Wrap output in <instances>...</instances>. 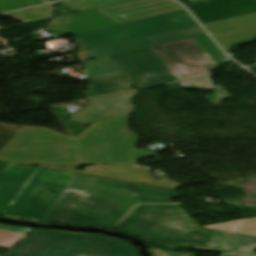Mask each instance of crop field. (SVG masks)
I'll return each instance as SVG.
<instances>
[{"label":"crop field","instance_id":"3316defc","mask_svg":"<svg viewBox=\"0 0 256 256\" xmlns=\"http://www.w3.org/2000/svg\"><path fill=\"white\" fill-rule=\"evenodd\" d=\"M138 91L91 99L82 110L72 115L70 120L79 124L98 122L129 115L134 110L131 98Z\"/></svg>","mask_w":256,"mask_h":256},{"label":"crop field","instance_id":"1d83c4d3","mask_svg":"<svg viewBox=\"0 0 256 256\" xmlns=\"http://www.w3.org/2000/svg\"><path fill=\"white\" fill-rule=\"evenodd\" d=\"M56 8H57L63 15L70 14L69 11H67L66 9H64L63 7H61L60 5H58Z\"/></svg>","mask_w":256,"mask_h":256},{"label":"crop field","instance_id":"dd49c442","mask_svg":"<svg viewBox=\"0 0 256 256\" xmlns=\"http://www.w3.org/2000/svg\"><path fill=\"white\" fill-rule=\"evenodd\" d=\"M196 25L198 24L186 11H180L75 36L86 49H89Z\"/></svg>","mask_w":256,"mask_h":256},{"label":"crop field","instance_id":"0bd39190","mask_svg":"<svg viewBox=\"0 0 256 256\" xmlns=\"http://www.w3.org/2000/svg\"><path fill=\"white\" fill-rule=\"evenodd\" d=\"M50 1H54V0H50Z\"/></svg>","mask_w":256,"mask_h":256},{"label":"crop field","instance_id":"28ad6ade","mask_svg":"<svg viewBox=\"0 0 256 256\" xmlns=\"http://www.w3.org/2000/svg\"><path fill=\"white\" fill-rule=\"evenodd\" d=\"M182 9L172 0H136L96 10L116 24H122ZM120 15L126 17L122 18Z\"/></svg>","mask_w":256,"mask_h":256},{"label":"crop field","instance_id":"120bbe31","mask_svg":"<svg viewBox=\"0 0 256 256\" xmlns=\"http://www.w3.org/2000/svg\"><path fill=\"white\" fill-rule=\"evenodd\" d=\"M190 249L219 252V251H217V250H213V249H204V248H200V247H191Z\"/></svg>","mask_w":256,"mask_h":256},{"label":"crop field","instance_id":"750c4746","mask_svg":"<svg viewBox=\"0 0 256 256\" xmlns=\"http://www.w3.org/2000/svg\"><path fill=\"white\" fill-rule=\"evenodd\" d=\"M239 27L256 24V13L231 19Z\"/></svg>","mask_w":256,"mask_h":256},{"label":"crop field","instance_id":"f4fd0767","mask_svg":"<svg viewBox=\"0 0 256 256\" xmlns=\"http://www.w3.org/2000/svg\"><path fill=\"white\" fill-rule=\"evenodd\" d=\"M16 164H81L75 140L47 128L24 127L0 150Z\"/></svg>","mask_w":256,"mask_h":256},{"label":"crop field","instance_id":"e52e79f7","mask_svg":"<svg viewBox=\"0 0 256 256\" xmlns=\"http://www.w3.org/2000/svg\"><path fill=\"white\" fill-rule=\"evenodd\" d=\"M199 227L176 205H140L117 231L140 238Z\"/></svg>","mask_w":256,"mask_h":256},{"label":"crop field","instance_id":"d32e631a","mask_svg":"<svg viewBox=\"0 0 256 256\" xmlns=\"http://www.w3.org/2000/svg\"><path fill=\"white\" fill-rule=\"evenodd\" d=\"M7 164H8L7 162H1L0 161V173L6 167Z\"/></svg>","mask_w":256,"mask_h":256},{"label":"crop field","instance_id":"92a150f3","mask_svg":"<svg viewBox=\"0 0 256 256\" xmlns=\"http://www.w3.org/2000/svg\"><path fill=\"white\" fill-rule=\"evenodd\" d=\"M239 234L214 230L206 248L229 251L237 246Z\"/></svg>","mask_w":256,"mask_h":256},{"label":"crop field","instance_id":"ac0d7876","mask_svg":"<svg viewBox=\"0 0 256 256\" xmlns=\"http://www.w3.org/2000/svg\"><path fill=\"white\" fill-rule=\"evenodd\" d=\"M176 197L172 190L96 178L65 222L114 227L137 203H172Z\"/></svg>","mask_w":256,"mask_h":256},{"label":"crop field","instance_id":"214f88e0","mask_svg":"<svg viewBox=\"0 0 256 256\" xmlns=\"http://www.w3.org/2000/svg\"><path fill=\"white\" fill-rule=\"evenodd\" d=\"M82 64L92 76V78L121 72L109 56L83 62Z\"/></svg>","mask_w":256,"mask_h":256},{"label":"crop field","instance_id":"eef30255","mask_svg":"<svg viewBox=\"0 0 256 256\" xmlns=\"http://www.w3.org/2000/svg\"><path fill=\"white\" fill-rule=\"evenodd\" d=\"M148 252L151 254V256H195V254L165 251V250H159L157 248H148ZM219 256H251V255L220 253Z\"/></svg>","mask_w":256,"mask_h":256},{"label":"crop field","instance_id":"412701ff","mask_svg":"<svg viewBox=\"0 0 256 256\" xmlns=\"http://www.w3.org/2000/svg\"><path fill=\"white\" fill-rule=\"evenodd\" d=\"M129 116L92 123L75 138L82 164L138 165L155 153L136 151L138 139L127 128Z\"/></svg>","mask_w":256,"mask_h":256},{"label":"crop field","instance_id":"34b2d1b8","mask_svg":"<svg viewBox=\"0 0 256 256\" xmlns=\"http://www.w3.org/2000/svg\"><path fill=\"white\" fill-rule=\"evenodd\" d=\"M12 250L21 256H140L133 246L113 238L41 229Z\"/></svg>","mask_w":256,"mask_h":256},{"label":"crop field","instance_id":"730fd06b","mask_svg":"<svg viewBox=\"0 0 256 256\" xmlns=\"http://www.w3.org/2000/svg\"><path fill=\"white\" fill-rule=\"evenodd\" d=\"M254 250H256V237L240 234L237 249L231 252L256 255L252 253Z\"/></svg>","mask_w":256,"mask_h":256},{"label":"crop field","instance_id":"a9b5d70f","mask_svg":"<svg viewBox=\"0 0 256 256\" xmlns=\"http://www.w3.org/2000/svg\"><path fill=\"white\" fill-rule=\"evenodd\" d=\"M50 6V4H46L32 9L8 13L7 15L12 16L25 23L43 20L47 18Z\"/></svg>","mask_w":256,"mask_h":256},{"label":"crop field","instance_id":"d8731c3e","mask_svg":"<svg viewBox=\"0 0 256 256\" xmlns=\"http://www.w3.org/2000/svg\"><path fill=\"white\" fill-rule=\"evenodd\" d=\"M162 63L176 75L187 79L209 75V69L217 64L193 38L150 48ZM213 67H207L208 65Z\"/></svg>","mask_w":256,"mask_h":256},{"label":"crop field","instance_id":"5142ce71","mask_svg":"<svg viewBox=\"0 0 256 256\" xmlns=\"http://www.w3.org/2000/svg\"><path fill=\"white\" fill-rule=\"evenodd\" d=\"M94 180L95 177L76 175L44 220L64 222Z\"/></svg>","mask_w":256,"mask_h":256},{"label":"crop field","instance_id":"bd1437ed","mask_svg":"<svg viewBox=\"0 0 256 256\" xmlns=\"http://www.w3.org/2000/svg\"><path fill=\"white\" fill-rule=\"evenodd\" d=\"M168 89H184L179 83L166 85Z\"/></svg>","mask_w":256,"mask_h":256},{"label":"crop field","instance_id":"5a996713","mask_svg":"<svg viewBox=\"0 0 256 256\" xmlns=\"http://www.w3.org/2000/svg\"><path fill=\"white\" fill-rule=\"evenodd\" d=\"M153 53L146 48L110 57L132 83H139L141 87L176 81Z\"/></svg>","mask_w":256,"mask_h":256},{"label":"crop field","instance_id":"00972430","mask_svg":"<svg viewBox=\"0 0 256 256\" xmlns=\"http://www.w3.org/2000/svg\"><path fill=\"white\" fill-rule=\"evenodd\" d=\"M29 232L26 228L0 224V247L9 248Z\"/></svg>","mask_w":256,"mask_h":256},{"label":"crop field","instance_id":"22f410ed","mask_svg":"<svg viewBox=\"0 0 256 256\" xmlns=\"http://www.w3.org/2000/svg\"><path fill=\"white\" fill-rule=\"evenodd\" d=\"M204 34H205L204 31L199 26H196V27L156 34V35H152L149 37L140 38L136 40L126 41V42L98 47L94 49H89L88 51L93 56V58L96 59V58H100V57L111 55V54L129 52L137 49L169 43V42L182 40L190 37H195L199 35H204Z\"/></svg>","mask_w":256,"mask_h":256},{"label":"crop field","instance_id":"8a807250","mask_svg":"<svg viewBox=\"0 0 256 256\" xmlns=\"http://www.w3.org/2000/svg\"><path fill=\"white\" fill-rule=\"evenodd\" d=\"M74 176L9 163L0 174V214L43 220Z\"/></svg>","mask_w":256,"mask_h":256},{"label":"crop field","instance_id":"e1f06a70","mask_svg":"<svg viewBox=\"0 0 256 256\" xmlns=\"http://www.w3.org/2000/svg\"><path fill=\"white\" fill-rule=\"evenodd\" d=\"M6 217V216H4ZM10 218H13V217H10ZM14 219H20V218H14ZM21 220H27V219H21ZM30 221H33V220H30Z\"/></svg>","mask_w":256,"mask_h":256},{"label":"crop field","instance_id":"4177f3b9","mask_svg":"<svg viewBox=\"0 0 256 256\" xmlns=\"http://www.w3.org/2000/svg\"><path fill=\"white\" fill-rule=\"evenodd\" d=\"M194 39L217 64L227 59L207 35L195 37Z\"/></svg>","mask_w":256,"mask_h":256},{"label":"crop field","instance_id":"dafd665d","mask_svg":"<svg viewBox=\"0 0 256 256\" xmlns=\"http://www.w3.org/2000/svg\"><path fill=\"white\" fill-rule=\"evenodd\" d=\"M131 0H69L62 2L63 6L69 8L74 13L92 9L99 8L103 6L113 5L117 3L127 2Z\"/></svg>","mask_w":256,"mask_h":256},{"label":"crop field","instance_id":"5866460e","mask_svg":"<svg viewBox=\"0 0 256 256\" xmlns=\"http://www.w3.org/2000/svg\"><path fill=\"white\" fill-rule=\"evenodd\" d=\"M5 256H20V255H18L17 253H15L14 251L11 250Z\"/></svg>","mask_w":256,"mask_h":256},{"label":"crop field","instance_id":"d1516ede","mask_svg":"<svg viewBox=\"0 0 256 256\" xmlns=\"http://www.w3.org/2000/svg\"><path fill=\"white\" fill-rule=\"evenodd\" d=\"M178 1L187 6L201 23L256 12V0Z\"/></svg>","mask_w":256,"mask_h":256},{"label":"crop field","instance_id":"4a817a6b","mask_svg":"<svg viewBox=\"0 0 256 256\" xmlns=\"http://www.w3.org/2000/svg\"><path fill=\"white\" fill-rule=\"evenodd\" d=\"M227 52L233 44L249 41L256 38V25L236 27L211 34Z\"/></svg>","mask_w":256,"mask_h":256},{"label":"crop field","instance_id":"028f5c9d","mask_svg":"<svg viewBox=\"0 0 256 256\" xmlns=\"http://www.w3.org/2000/svg\"><path fill=\"white\" fill-rule=\"evenodd\" d=\"M176 78H177L178 80L186 79V77H185V76H176Z\"/></svg>","mask_w":256,"mask_h":256},{"label":"crop field","instance_id":"cbeb9de0","mask_svg":"<svg viewBox=\"0 0 256 256\" xmlns=\"http://www.w3.org/2000/svg\"><path fill=\"white\" fill-rule=\"evenodd\" d=\"M63 19H67L72 24L69 25L65 22H59ZM114 25V23L105 19L96 11L90 10L78 14H70L53 18L50 20L48 26L45 29L49 33L62 30L66 35H70Z\"/></svg>","mask_w":256,"mask_h":256},{"label":"crop field","instance_id":"ae1a2a85","mask_svg":"<svg viewBox=\"0 0 256 256\" xmlns=\"http://www.w3.org/2000/svg\"><path fill=\"white\" fill-rule=\"evenodd\" d=\"M21 126L0 124V149L19 130Z\"/></svg>","mask_w":256,"mask_h":256},{"label":"crop field","instance_id":"bc2a9ffb","mask_svg":"<svg viewBox=\"0 0 256 256\" xmlns=\"http://www.w3.org/2000/svg\"><path fill=\"white\" fill-rule=\"evenodd\" d=\"M180 84L185 89L208 90L214 92L215 94L213 95L205 96V98L213 105L220 104L222 103V101L220 100L231 97L221 86H215L213 88H210V86L212 85V81L209 79V77L188 80L180 82Z\"/></svg>","mask_w":256,"mask_h":256},{"label":"crop field","instance_id":"d3111659","mask_svg":"<svg viewBox=\"0 0 256 256\" xmlns=\"http://www.w3.org/2000/svg\"><path fill=\"white\" fill-rule=\"evenodd\" d=\"M203 26L206 28V30L209 33H212V32H216V31L236 27L237 25L235 23H233L230 19H227V20H223V21L205 24Z\"/></svg>","mask_w":256,"mask_h":256},{"label":"crop field","instance_id":"733c2abd","mask_svg":"<svg viewBox=\"0 0 256 256\" xmlns=\"http://www.w3.org/2000/svg\"><path fill=\"white\" fill-rule=\"evenodd\" d=\"M130 80L124 73L88 80L86 89L94 96L129 90Z\"/></svg>","mask_w":256,"mask_h":256},{"label":"crop field","instance_id":"d9b57169","mask_svg":"<svg viewBox=\"0 0 256 256\" xmlns=\"http://www.w3.org/2000/svg\"><path fill=\"white\" fill-rule=\"evenodd\" d=\"M189 231L200 233L203 235H211L213 230L204 229V228H196L189 229L169 234H163L148 238H143L142 240L154 244L161 245L166 248H187L190 246H201L206 247L208 242V237L206 236H196L194 234L189 233Z\"/></svg>","mask_w":256,"mask_h":256}]
</instances>
